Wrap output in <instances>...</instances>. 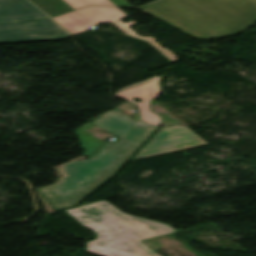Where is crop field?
I'll return each instance as SVG.
<instances>
[{
  "instance_id": "ac0d7876",
  "label": "crop field",
  "mask_w": 256,
  "mask_h": 256,
  "mask_svg": "<svg viewBox=\"0 0 256 256\" xmlns=\"http://www.w3.org/2000/svg\"><path fill=\"white\" fill-rule=\"evenodd\" d=\"M140 8L198 40L231 36L256 21V0H160Z\"/></svg>"
},
{
  "instance_id": "f4fd0767",
  "label": "crop field",
  "mask_w": 256,
  "mask_h": 256,
  "mask_svg": "<svg viewBox=\"0 0 256 256\" xmlns=\"http://www.w3.org/2000/svg\"><path fill=\"white\" fill-rule=\"evenodd\" d=\"M207 144L189 128L180 125L171 126L160 129L132 160Z\"/></svg>"
},
{
  "instance_id": "8a807250",
  "label": "crop field",
  "mask_w": 256,
  "mask_h": 256,
  "mask_svg": "<svg viewBox=\"0 0 256 256\" xmlns=\"http://www.w3.org/2000/svg\"><path fill=\"white\" fill-rule=\"evenodd\" d=\"M91 123L120 139L102 142L77 130L84 155L91 159L60 165L57 169L62 177L54 185L39 190L55 210L74 207L114 176L157 129L117 109L104 113Z\"/></svg>"
},
{
  "instance_id": "5a996713",
  "label": "crop field",
  "mask_w": 256,
  "mask_h": 256,
  "mask_svg": "<svg viewBox=\"0 0 256 256\" xmlns=\"http://www.w3.org/2000/svg\"><path fill=\"white\" fill-rule=\"evenodd\" d=\"M74 36L86 31L93 26L88 20L76 11L53 18Z\"/></svg>"
},
{
  "instance_id": "dd49c442",
  "label": "crop field",
  "mask_w": 256,
  "mask_h": 256,
  "mask_svg": "<svg viewBox=\"0 0 256 256\" xmlns=\"http://www.w3.org/2000/svg\"><path fill=\"white\" fill-rule=\"evenodd\" d=\"M147 80H149V79H147ZM147 80H145V81H147ZM159 80H160V78L154 77V79L151 80V82H149V83L143 84L141 86L129 89V90L121 92V93L118 92L114 95L136 104L138 106L141 119L144 122L152 124V125L160 126L161 122H160L159 117L157 115L151 113L150 109H149V104H150L151 100L158 97V95L160 93V88L158 86ZM129 87H131V86H129ZM126 88H128V87H126ZM123 89H125V88H123ZM123 89H121V90H123ZM133 97L142 100V102L141 103L134 102L132 100Z\"/></svg>"
},
{
  "instance_id": "e52e79f7",
  "label": "crop field",
  "mask_w": 256,
  "mask_h": 256,
  "mask_svg": "<svg viewBox=\"0 0 256 256\" xmlns=\"http://www.w3.org/2000/svg\"><path fill=\"white\" fill-rule=\"evenodd\" d=\"M27 0H0V22L46 18Z\"/></svg>"
},
{
  "instance_id": "d1516ede",
  "label": "crop field",
  "mask_w": 256,
  "mask_h": 256,
  "mask_svg": "<svg viewBox=\"0 0 256 256\" xmlns=\"http://www.w3.org/2000/svg\"><path fill=\"white\" fill-rule=\"evenodd\" d=\"M75 9L83 8L88 5H109V6H116L109 0H65Z\"/></svg>"
},
{
  "instance_id": "d8731c3e",
  "label": "crop field",
  "mask_w": 256,
  "mask_h": 256,
  "mask_svg": "<svg viewBox=\"0 0 256 256\" xmlns=\"http://www.w3.org/2000/svg\"><path fill=\"white\" fill-rule=\"evenodd\" d=\"M78 12H80L95 25L100 23H112L127 16V14H125L118 7H86L78 10Z\"/></svg>"
},
{
  "instance_id": "3316defc",
  "label": "crop field",
  "mask_w": 256,
  "mask_h": 256,
  "mask_svg": "<svg viewBox=\"0 0 256 256\" xmlns=\"http://www.w3.org/2000/svg\"><path fill=\"white\" fill-rule=\"evenodd\" d=\"M50 17L63 14L73 9L62 0H31Z\"/></svg>"
},
{
  "instance_id": "28ad6ade",
  "label": "crop field",
  "mask_w": 256,
  "mask_h": 256,
  "mask_svg": "<svg viewBox=\"0 0 256 256\" xmlns=\"http://www.w3.org/2000/svg\"><path fill=\"white\" fill-rule=\"evenodd\" d=\"M136 22L132 21V22H128L126 24L122 23L120 20L113 23L118 29H120L123 33L127 34V35H130V36H133V37H136V38H139V39H142V40H145L147 42H149L150 44H152L154 47H156L158 50H160L171 62H175L177 57L174 56L170 51H168L167 49L165 48H162L160 47L158 44H156L154 42V38H151V37H142V36H138L133 30H131L128 26L134 24Z\"/></svg>"
},
{
  "instance_id": "412701ff",
  "label": "crop field",
  "mask_w": 256,
  "mask_h": 256,
  "mask_svg": "<svg viewBox=\"0 0 256 256\" xmlns=\"http://www.w3.org/2000/svg\"><path fill=\"white\" fill-rule=\"evenodd\" d=\"M70 37L50 19L0 23V43L62 40Z\"/></svg>"
},
{
  "instance_id": "34b2d1b8",
  "label": "crop field",
  "mask_w": 256,
  "mask_h": 256,
  "mask_svg": "<svg viewBox=\"0 0 256 256\" xmlns=\"http://www.w3.org/2000/svg\"><path fill=\"white\" fill-rule=\"evenodd\" d=\"M66 212L98 237L86 251L99 256H159L140 240L175 232L166 224L122 213L107 201L67 209Z\"/></svg>"
},
{
  "instance_id": "22f410ed",
  "label": "crop field",
  "mask_w": 256,
  "mask_h": 256,
  "mask_svg": "<svg viewBox=\"0 0 256 256\" xmlns=\"http://www.w3.org/2000/svg\"><path fill=\"white\" fill-rule=\"evenodd\" d=\"M117 6H126V7H132L129 3H127L125 0H110Z\"/></svg>"
}]
</instances>
